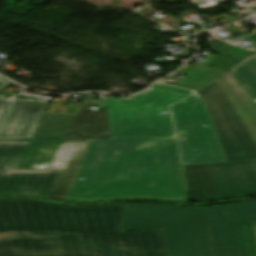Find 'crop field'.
Here are the masks:
<instances>
[{"label":"crop field","mask_w":256,"mask_h":256,"mask_svg":"<svg viewBox=\"0 0 256 256\" xmlns=\"http://www.w3.org/2000/svg\"><path fill=\"white\" fill-rule=\"evenodd\" d=\"M29 143L0 142V194L47 199L61 170H16Z\"/></svg>","instance_id":"f4fd0767"},{"label":"crop field","mask_w":256,"mask_h":256,"mask_svg":"<svg viewBox=\"0 0 256 256\" xmlns=\"http://www.w3.org/2000/svg\"><path fill=\"white\" fill-rule=\"evenodd\" d=\"M127 205L0 199V256H99L93 235L105 233L114 256H167L162 230L121 233Z\"/></svg>","instance_id":"8a807250"},{"label":"crop field","mask_w":256,"mask_h":256,"mask_svg":"<svg viewBox=\"0 0 256 256\" xmlns=\"http://www.w3.org/2000/svg\"><path fill=\"white\" fill-rule=\"evenodd\" d=\"M202 94L227 161L256 160L255 145L215 85H211Z\"/></svg>","instance_id":"dd49c442"},{"label":"crop field","mask_w":256,"mask_h":256,"mask_svg":"<svg viewBox=\"0 0 256 256\" xmlns=\"http://www.w3.org/2000/svg\"><path fill=\"white\" fill-rule=\"evenodd\" d=\"M209 165L220 199L256 195V172L251 161Z\"/></svg>","instance_id":"d8731c3e"},{"label":"crop field","mask_w":256,"mask_h":256,"mask_svg":"<svg viewBox=\"0 0 256 256\" xmlns=\"http://www.w3.org/2000/svg\"><path fill=\"white\" fill-rule=\"evenodd\" d=\"M142 94L172 106L188 100L196 95L197 92L157 83L151 86L150 90H146Z\"/></svg>","instance_id":"cbeb9de0"},{"label":"crop field","mask_w":256,"mask_h":256,"mask_svg":"<svg viewBox=\"0 0 256 256\" xmlns=\"http://www.w3.org/2000/svg\"><path fill=\"white\" fill-rule=\"evenodd\" d=\"M252 163H253V165H254V167L256 169V161H252Z\"/></svg>","instance_id":"a9b5d70f"},{"label":"crop field","mask_w":256,"mask_h":256,"mask_svg":"<svg viewBox=\"0 0 256 256\" xmlns=\"http://www.w3.org/2000/svg\"><path fill=\"white\" fill-rule=\"evenodd\" d=\"M183 168L190 201L219 200L208 164Z\"/></svg>","instance_id":"22f410ed"},{"label":"crop field","mask_w":256,"mask_h":256,"mask_svg":"<svg viewBox=\"0 0 256 256\" xmlns=\"http://www.w3.org/2000/svg\"><path fill=\"white\" fill-rule=\"evenodd\" d=\"M212 83L199 80L190 76H186L182 81L178 82L176 85L198 90V91H203L207 87H209Z\"/></svg>","instance_id":"214f88e0"},{"label":"crop field","mask_w":256,"mask_h":256,"mask_svg":"<svg viewBox=\"0 0 256 256\" xmlns=\"http://www.w3.org/2000/svg\"><path fill=\"white\" fill-rule=\"evenodd\" d=\"M256 221V201L171 207L129 204L122 232L163 229L168 256H242L236 223Z\"/></svg>","instance_id":"34b2d1b8"},{"label":"crop field","mask_w":256,"mask_h":256,"mask_svg":"<svg viewBox=\"0 0 256 256\" xmlns=\"http://www.w3.org/2000/svg\"><path fill=\"white\" fill-rule=\"evenodd\" d=\"M93 94H85L64 138L110 137L107 109L90 110Z\"/></svg>","instance_id":"28ad6ade"},{"label":"crop field","mask_w":256,"mask_h":256,"mask_svg":"<svg viewBox=\"0 0 256 256\" xmlns=\"http://www.w3.org/2000/svg\"><path fill=\"white\" fill-rule=\"evenodd\" d=\"M132 199L155 200L154 138L91 139L65 201Z\"/></svg>","instance_id":"412701ff"},{"label":"crop field","mask_w":256,"mask_h":256,"mask_svg":"<svg viewBox=\"0 0 256 256\" xmlns=\"http://www.w3.org/2000/svg\"><path fill=\"white\" fill-rule=\"evenodd\" d=\"M240 86L247 92V94L253 99H256V72L255 70L244 60L233 69L229 71Z\"/></svg>","instance_id":"5142ce71"},{"label":"crop field","mask_w":256,"mask_h":256,"mask_svg":"<svg viewBox=\"0 0 256 256\" xmlns=\"http://www.w3.org/2000/svg\"><path fill=\"white\" fill-rule=\"evenodd\" d=\"M10 83H12V82L0 77V90L3 89L5 86H7ZM10 101H11L10 99L0 97V122L8 108Z\"/></svg>","instance_id":"92a150f3"},{"label":"crop field","mask_w":256,"mask_h":256,"mask_svg":"<svg viewBox=\"0 0 256 256\" xmlns=\"http://www.w3.org/2000/svg\"><path fill=\"white\" fill-rule=\"evenodd\" d=\"M246 36L251 39L253 51L256 52V30ZM245 60L256 70V55H252Z\"/></svg>","instance_id":"dafd665d"},{"label":"crop field","mask_w":256,"mask_h":256,"mask_svg":"<svg viewBox=\"0 0 256 256\" xmlns=\"http://www.w3.org/2000/svg\"><path fill=\"white\" fill-rule=\"evenodd\" d=\"M253 224V229H254V234H255V239H256V222H252Z\"/></svg>","instance_id":"00972430"},{"label":"crop field","mask_w":256,"mask_h":256,"mask_svg":"<svg viewBox=\"0 0 256 256\" xmlns=\"http://www.w3.org/2000/svg\"><path fill=\"white\" fill-rule=\"evenodd\" d=\"M74 115L45 113L18 169H47Z\"/></svg>","instance_id":"e52e79f7"},{"label":"crop field","mask_w":256,"mask_h":256,"mask_svg":"<svg viewBox=\"0 0 256 256\" xmlns=\"http://www.w3.org/2000/svg\"><path fill=\"white\" fill-rule=\"evenodd\" d=\"M243 256H256V244L251 222L237 224Z\"/></svg>","instance_id":"733c2abd"},{"label":"crop field","mask_w":256,"mask_h":256,"mask_svg":"<svg viewBox=\"0 0 256 256\" xmlns=\"http://www.w3.org/2000/svg\"><path fill=\"white\" fill-rule=\"evenodd\" d=\"M98 107L108 108L111 138L155 137L156 200L189 201L182 165L226 161L199 95L172 107L142 94L111 96Z\"/></svg>","instance_id":"ac0d7876"},{"label":"crop field","mask_w":256,"mask_h":256,"mask_svg":"<svg viewBox=\"0 0 256 256\" xmlns=\"http://www.w3.org/2000/svg\"><path fill=\"white\" fill-rule=\"evenodd\" d=\"M210 50L237 63L244 60L247 56L253 54L252 52L240 49L224 42L217 44L216 47Z\"/></svg>","instance_id":"4a817a6b"},{"label":"crop field","mask_w":256,"mask_h":256,"mask_svg":"<svg viewBox=\"0 0 256 256\" xmlns=\"http://www.w3.org/2000/svg\"><path fill=\"white\" fill-rule=\"evenodd\" d=\"M177 73L184 75H190L199 79H203L209 82L214 83L217 79L223 76L226 72L219 71L207 66L200 64H195L191 66H185L182 69L178 70Z\"/></svg>","instance_id":"d9b57169"},{"label":"crop field","mask_w":256,"mask_h":256,"mask_svg":"<svg viewBox=\"0 0 256 256\" xmlns=\"http://www.w3.org/2000/svg\"><path fill=\"white\" fill-rule=\"evenodd\" d=\"M100 256H113L109 234L94 236Z\"/></svg>","instance_id":"bc2a9ffb"},{"label":"crop field","mask_w":256,"mask_h":256,"mask_svg":"<svg viewBox=\"0 0 256 256\" xmlns=\"http://www.w3.org/2000/svg\"><path fill=\"white\" fill-rule=\"evenodd\" d=\"M90 140L63 139L49 169H63L49 199L64 201Z\"/></svg>","instance_id":"3316defc"},{"label":"crop field","mask_w":256,"mask_h":256,"mask_svg":"<svg viewBox=\"0 0 256 256\" xmlns=\"http://www.w3.org/2000/svg\"><path fill=\"white\" fill-rule=\"evenodd\" d=\"M231 104L256 145V104L228 72L214 83Z\"/></svg>","instance_id":"d1516ede"},{"label":"crop field","mask_w":256,"mask_h":256,"mask_svg":"<svg viewBox=\"0 0 256 256\" xmlns=\"http://www.w3.org/2000/svg\"><path fill=\"white\" fill-rule=\"evenodd\" d=\"M48 102L15 98L0 126V140L31 139Z\"/></svg>","instance_id":"5a996713"}]
</instances>
